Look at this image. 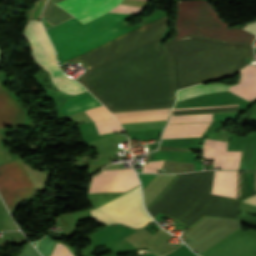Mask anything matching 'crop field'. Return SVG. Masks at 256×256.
Masks as SVG:
<instances>
[{
  "instance_id": "a9b5d70f",
  "label": "crop field",
  "mask_w": 256,
  "mask_h": 256,
  "mask_svg": "<svg viewBox=\"0 0 256 256\" xmlns=\"http://www.w3.org/2000/svg\"><path fill=\"white\" fill-rule=\"evenodd\" d=\"M9 156L6 152V150L3 148V146L1 145V138H0V163H3L7 160H9Z\"/></svg>"
},
{
  "instance_id": "733c2abd",
  "label": "crop field",
  "mask_w": 256,
  "mask_h": 256,
  "mask_svg": "<svg viewBox=\"0 0 256 256\" xmlns=\"http://www.w3.org/2000/svg\"><path fill=\"white\" fill-rule=\"evenodd\" d=\"M203 121H212V115L200 114V115L171 116L168 123H188V122H203Z\"/></svg>"
},
{
  "instance_id": "4a817a6b",
  "label": "crop field",
  "mask_w": 256,
  "mask_h": 256,
  "mask_svg": "<svg viewBox=\"0 0 256 256\" xmlns=\"http://www.w3.org/2000/svg\"><path fill=\"white\" fill-rule=\"evenodd\" d=\"M18 230L0 199V231Z\"/></svg>"
},
{
  "instance_id": "bc2a9ffb",
  "label": "crop field",
  "mask_w": 256,
  "mask_h": 256,
  "mask_svg": "<svg viewBox=\"0 0 256 256\" xmlns=\"http://www.w3.org/2000/svg\"><path fill=\"white\" fill-rule=\"evenodd\" d=\"M94 123H95L97 131L101 134L122 129L121 126L118 124V122L115 119L97 121Z\"/></svg>"
},
{
  "instance_id": "ac0d7876",
  "label": "crop field",
  "mask_w": 256,
  "mask_h": 256,
  "mask_svg": "<svg viewBox=\"0 0 256 256\" xmlns=\"http://www.w3.org/2000/svg\"><path fill=\"white\" fill-rule=\"evenodd\" d=\"M163 47L173 58L176 90L233 73L253 55L249 45L195 37L172 40Z\"/></svg>"
},
{
  "instance_id": "3316defc",
  "label": "crop field",
  "mask_w": 256,
  "mask_h": 256,
  "mask_svg": "<svg viewBox=\"0 0 256 256\" xmlns=\"http://www.w3.org/2000/svg\"><path fill=\"white\" fill-rule=\"evenodd\" d=\"M227 142L206 139L202 157L214 160V166L222 169H238L241 152L226 151Z\"/></svg>"
},
{
  "instance_id": "214f88e0",
  "label": "crop field",
  "mask_w": 256,
  "mask_h": 256,
  "mask_svg": "<svg viewBox=\"0 0 256 256\" xmlns=\"http://www.w3.org/2000/svg\"><path fill=\"white\" fill-rule=\"evenodd\" d=\"M86 112L93 121L113 118V116L103 106L86 110Z\"/></svg>"
},
{
  "instance_id": "92a150f3",
  "label": "crop field",
  "mask_w": 256,
  "mask_h": 256,
  "mask_svg": "<svg viewBox=\"0 0 256 256\" xmlns=\"http://www.w3.org/2000/svg\"><path fill=\"white\" fill-rule=\"evenodd\" d=\"M142 8L138 7H131V6H126L119 4L116 6L112 11L110 12H115V13H130V14H138Z\"/></svg>"
},
{
  "instance_id": "dd49c442",
  "label": "crop field",
  "mask_w": 256,
  "mask_h": 256,
  "mask_svg": "<svg viewBox=\"0 0 256 256\" xmlns=\"http://www.w3.org/2000/svg\"><path fill=\"white\" fill-rule=\"evenodd\" d=\"M23 34L33 44V59L51 74L52 82L58 89L69 94L86 91L80 84L66 78L57 67L54 49L39 21H28Z\"/></svg>"
},
{
  "instance_id": "412701ff",
  "label": "crop field",
  "mask_w": 256,
  "mask_h": 256,
  "mask_svg": "<svg viewBox=\"0 0 256 256\" xmlns=\"http://www.w3.org/2000/svg\"><path fill=\"white\" fill-rule=\"evenodd\" d=\"M22 164L17 158L0 165V195L8 210L14 211L19 201L35 197L36 188L45 190L49 172H37L23 164L35 188Z\"/></svg>"
},
{
  "instance_id": "d9b57169",
  "label": "crop field",
  "mask_w": 256,
  "mask_h": 256,
  "mask_svg": "<svg viewBox=\"0 0 256 256\" xmlns=\"http://www.w3.org/2000/svg\"><path fill=\"white\" fill-rule=\"evenodd\" d=\"M231 106H238V105L198 107V108H217V107H231ZM183 109H197V108H183ZM174 110H181V109H174ZM237 110H238V107L217 108V109L181 110V111H174L173 115L196 114V113H213V112H229V111H237Z\"/></svg>"
},
{
  "instance_id": "5a996713",
  "label": "crop field",
  "mask_w": 256,
  "mask_h": 256,
  "mask_svg": "<svg viewBox=\"0 0 256 256\" xmlns=\"http://www.w3.org/2000/svg\"><path fill=\"white\" fill-rule=\"evenodd\" d=\"M137 185L133 169L102 171L93 177L89 193L126 191Z\"/></svg>"
},
{
  "instance_id": "d1516ede",
  "label": "crop field",
  "mask_w": 256,
  "mask_h": 256,
  "mask_svg": "<svg viewBox=\"0 0 256 256\" xmlns=\"http://www.w3.org/2000/svg\"><path fill=\"white\" fill-rule=\"evenodd\" d=\"M237 178V171H215L211 193L236 198Z\"/></svg>"
},
{
  "instance_id": "730fd06b",
  "label": "crop field",
  "mask_w": 256,
  "mask_h": 256,
  "mask_svg": "<svg viewBox=\"0 0 256 256\" xmlns=\"http://www.w3.org/2000/svg\"><path fill=\"white\" fill-rule=\"evenodd\" d=\"M244 202H248V203L256 205V195H253V196H250V197L244 199Z\"/></svg>"
},
{
  "instance_id": "22f410ed",
  "label": "crop field",
  "mask_w": 256,
  "mask_h": 256,
  "mask_svg": "<svg viewBox=\"0 0 256 256\" xmlns=\"http://www.w3.org/2000/svg\"><path fill=\"white\" fill-rule=\"evenodd\" d=\"M209 124L191 123L168 125L162 139L201 136Z\"/></svg>"
},
{
  "instance_id": "d8731c3e",
  "label": "crop field",
  "mask_w": 256,
  "mask_h": 256,
  "mask_svg": "<svg viewBox=\"0 0 256 256\" xmlns=\"http://www.w3.org/2000/svg\"><path fill=\"white\" fill-rule=\"evenodd\" d=\"M230 90L247 100H252L256 98V66H247L241 70V80L238 85L231 87H225L220 84H213L202 87V85H196L186 89L179 90L177 96V101L184 100L190 97H194L200 94Z\"/></svg>"
},
{
  "instance_id": "e52e79f7",
  "label": "crop field",
  "mask_w": 256,
  "mask_h": 256,
  "mask_svg": "<svg viewBox=\"0 0 256 256\" xmlns=\"http://www.w3.org/2000/svg\"><path fill=\"white\" fill-rule=\"evenodd\" d=\"M50 1L56 4L63 0ZM50 1L47 3L42 18L55 25L72 17L71 15L85 23L113 9L122 0H65L56 4L71 15L55 6Z\"/></svg>"
},
{
  "instance_id": "ae1a2a85",
  "label": "crop field",
  "mask_w": 256,
  "mask_h": 256,
  "mask_svg": "<svg viewBox=\"0 0 256 256\" xmlns=\"http://www.w3.org/2000/svg\"><path fill=\"white\" fill-rule=\"evenodd\" d=\"M142 1H145V0H142Z\"/></svg>"
},
{
  "instance_id": "00972430",
  "label": "crop field",
  "mask_w": 256,
  "mask_h": 256,
  "mask_svg": "<svg viewBox=\"0 0 256 256\" xmlns=\"http://www.w3.org/2000/svg\"><path fill=\"white\" fill-rule=\"evenodd\" d=\"M162 163H163V161L148 162L146 165H142L143 172L157 173L156 169L160 168Z\"/></svg>"
},
{
  "instance_id": "28ad6ade",
  "label": "crop field",
  "mask_w": 256,
  "mask_h": 256,
  "mask_svg": "<svg viewBox=\"0 0 256 256\" xmlns=\"http://www.w3.org/2000/svg\"><path fill=\"white\" fill-rule=\"evenodd\" d=\"M25 112L2 88L0 82V128L23 125Z\"/></svg>"
},
{
  "instance_id": "34b2d1b8",
  "label": "crop field",
  "mask_w": 256,
  "mask_h": 256,
  "mask_svg": "<svg viewBox=\"0 0 256 256\" xmlns=\"http://www.w3.org/2000/svg\"><path fill=\"white\" fill-rule=\"evenodd\" d=\"M208 1H178L176 36L195 35L227 42L252 44L255 36L240 30L226 29Z\"/></svg>"
},
{
  "instance_id": "5142ce71",
  "label": "crop field",
  "mask_w": 256,
  "mask_h": 256,
  "mask_svg": "<svg viewBox=\"0 0 256 256\" xmlns=\"http://www.w3.org/2000/svg\"><path fill=\"white\" fill-rule=\"evenodd\" d=\"M170 109L165 110H152V111H138V112H125V113H112L115 118L127 117V116H138V115H148V114H161L168 113ZM168 114L161 115H149V116H139V117H130V118H120L117 119L120 123L127 122H141V121H158L166 120Z\"/></svg>"
},
{
  "instance_id": "dafd665d",
  "label": "crop field",
  "mask_w": 256,
  "mask_h": 256,
  "mask_svg": "<svg viewBox=\"0 0 256 256\" xmlns=\"http://www.w3.org/2000/svg\"><path fill=\"white\" fill-rule=\"evenodd\" d=\"M51 256H73L67 247L57 242Z\"/></svg>"
},
{
  "instance_id": "f4fd0767",
  "label": "crop field",
  "mask_w": 256,
  "mask_h": 256,
  "mask_svg": "<svg viewBox=\"0 0 256 256\" xmlns=\"http://www.w3.org/2000/svg\"><path fill=\"white\" fill-rule=\"evenodd\" d=\"M90 213L93 218L107 225L120 222L137 228L152 221L143 207L140 187L91 210Z\"/></svg>"
},
{
  "instance_id": "cbeb9de0",
  "label": "crop field",
  "mask_w": 256,
  "mask_h": 256,
  "mask_svg": "<svg viewBox=\"0 0 256 256\" xmlns=\"http://www.w3.org/2000/svg\"><path fill=\"white\" fill-rule=\"evenodd\" d=\"M101 105L88 91L67 99L62 108V116Z\"/></svg>"
},
{
  "instance_id": "4177f3b9",
  "label": "crop field",
  "mask_w": 256,
  "mask_h": 256,
  "mask_svg": "<svg viewBox=\"0 0 256 256\" xmlns=\"http://www.w3.org/2000/svg\"><path fill=\"white\" fill-rule=\"evenodd\" d=\"M244 29L256 34V23L249 24L248 26L244 27Z\"/></svg>"
},
{
  "instance_id": "8a807250",
  "label": "crop field",
  "mask_w": 256,
  "mask_h": 256,
  "mask_svg": "<svg viewBox=\"0 0 256 256\" xmlns=\"http://www.w3.org/2000/svg\"><path fill=\"white\" fill-rule=\"evenodd\" d=\"M127 14L106 13L85 24L74 18L47 29L61 59L67 61L131 28H119ZM165 16L141 25L70 61L87 66L137 43L165 27ZM163 31L88 68L81 82L111 112L172 108L175 85L172 58L158 46Z\"/></svg>"
},
{
  "instance_id": "eef30255",
  "label": "crop field",
  "mask_w": 256,
  "mask_h": 256,
  "mask_svg": "<svg viewBox=\"0 0 256 256\" xmlns=\"http://www.w3.org/2000/svg\"><path fill=\"white\" fill-rule=\"evenodd\" d=\"M0 58H1V52H0Z\"/></svg>"
}]
</instances>
